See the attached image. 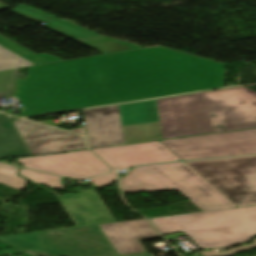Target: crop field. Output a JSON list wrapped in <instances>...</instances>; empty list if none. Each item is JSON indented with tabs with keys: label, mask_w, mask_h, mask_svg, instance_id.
Returning <instances> with one entry per match:
<instances>
[{
	"label": "crop field",
	"mask_w": 256,
	"mask_h": 256,
	"mask_svg": "<svg viewBox=\"0 0 256 256\" xmlns=\"http://www.w3.org/2000/svg\"><path fill=\"white\" fill-rule=\"evenodd\" d=\"M163 234L181 231L200 248H218L256 236V205L149 219Z\"/></svg>",
	"instance_id": "3"
},
{
	"label": "crop field",
	"mask_w": 256,
	"mask_h": 256,
	"mask_svg": "<svg viewBox=\"0 0 256 256\" xmlns=\"http://www.w3.org/2000/svg\"><path fill=\"white\" fill-rule=\"evenodd\" d=\"M99 228L94 225L41 233L51 256H119Z\"/></svg>",
	"instance_id": "7"
},
{
	"label": "crop field",
	"mask_w": 256,
	"mask_h": 256,
	"mask_svg": "<svg viewBox=\"0 0 256 256\" xmlns=\"http://www.w3.org/2000/svg\"><path fill=\"white\" fill-rule=\"evenodd\" d=\"M98 226L121 256L148 253L139 241L160 236L145 220Z\"/></svg>",
	"instance_id": "12"
},
{
	"label": "crop field",
	"mask_w": 256,
	"mask_h": 256,
	"mask_svg": "<svg viewBox=\"0 0 256 256\" xmlns=\"http://www.w3.org/2000/svg\"><path fill=\"white\" fill-rule=\"evenodd\" d=\"M15 69L0 72V97H9L12 94Z\"/></svg>",
	"instance_id": "18"
},
{
	"label": "crop field",
	"mask_w": 256,
	"mask_h": 256,
	"mask_svg": "<svg viewBox=\"0 0 256 256\" xmlns=\"http://www.w3.org/2000/svg\"><path fill=\"white\" fill-rule=\"evenodd\" d=\"M19 173L33 182L52 186L56 189H64V186L61 185V177L59 176L36 172L24 168H21Z\"/></svg>",
	"instance_id": "16"
},
{
	"label": "crop field",
	"mask_w": 256,
	"mask_h": 256,
	"mask_svg": "<svg viewBox=\"0 0 256 256\" xmlns=\"http://www.w3.org/2000/svg\"><path fill=\"white\" fill-rule=\"evenodd\" d=\"M161 142L182 160L254 154L256 129Z\"/></svg>",
	"instance_id": "6"
},
{
	"label": "crop field",
	"mask_w": 256,
	"mask_h": 256,
	"mask_svg": "<svg viewBox=\"0 0 256 256\" xmlns=\"http://www.w3.org/2000/svg\"><path fill=\"white\" fill-rule=\"evenodd\" d=\"M224 87V65L157 46L28 67L18 80L23 115Z\"/></svg>",
	"instance_id": "1"
},
{
	"label": "crop field",
	"mask_w": 256,
	"mask_h": 256,
	"mask_svg": "<svg viewBox=\"0 0 256 256\" xmlns=\"http://www.w3.org/2000/svg\"><path fill=\"white\" fill-rule=\"evenodd\" d=\"M34 64L0 46V71Z\"/></svg>",
	"instance_id": "17"
},
{
	"label": "crop field",
	"mask_w": 256,
	"mask_h": 256,
	"mask_svg": "<svg viewBox=\"0 0 256 256\" xmlns=\"http://www.w3.org/2000/svg\"><path fill=\"white\" fill-rule=\"evenodd\" d=\"M16 160L27 168L78 179L112 171L88 150Z\"/></svg>",
	"instance_id": "8"
},
{
	"label": "crop field",
	"mask_w": 256,
	"mask_h": 256,
	"mask_svg": "<svg viewBox=\"0 0 256 256\" xmlns=\"http://www.w3.org/2000/svg\"><path fill=\"white\" fill-rule=\"evenodd\" d=\"M18 118L0 114V159L30 155L12 120Z\"/></svg>",
	"instance_id": "13"
},
{
	"label": "crop field",
	"mask_w": 256,
	"mask_h": 256,
	"mask_svg": "<svg viewBox=\"0 0 256 256\" xmlns=\"http://www.w3.org/2000/svg\"><path fill=\"white\" fill-rule=\"evenodd\" d=\"M186 163L238 207L256 204V156Z\"/></svg>",
	"instance_id": "5"
},
{
	"label": "crop field",
	"mask_w": 256,
	"mask_h": 256,
	"mask_svg": "<svg viewBox=\"0 0 256 256\" xmlns=\"http://www.w3.org/2000/svg\"><path fill=\"white\" fill-rule=\"evenodd\" d=\"M17 171V167L0 163V183L21 191L29 181L19 177Z\"/></svg>",
	"instance_id": "15"
},
{
	"label": "crop field",
	"mask_w": 256,
	"mask_h": 256,
	"mask_svg": "<svg viewBox=\"0 0 256 256\" xmlns=\"http://www.w3.org/2000/svg\"><path fill=\"white\" fill-rule=\"evenodd\" d=\"M116 170L145 163L181 160L160 141L93 150Z\"/></svg>",
	"instance_id": "10"
},
{
	"label": "crop field",
	"mask_w": 256,
	"mask_h": 256,
	"mask_svg": "<svg viewBox=\"0 0 256 256\" xmlns=\"http://www.w3.org/2000/svg\"><path fill=\"white\" fill-rule=\"evenodd\" d=\"M90 180L98 187L105 186L117 181L115 173L91 178Z\"/></svg>",
	"instance_id": "19"
},
{
	"label": "crop field",
	"mask_w": 256,
	"mask_h": 256,
	"mask_svg": "<svg viewBox=\"0 0 256 256\" xmlns=\"http://www.w3.org/2000/svg\"><path fill=\"white\" fill-rule=\"evenodd\" d=\"M0 241L22 251L47 250L40 232L2 236Z\"/></svg>",
	"instance_id": "14"
},
{
	"label": "crop field",
	"mask_w": 256,
	"mask_h": 256,
	"mask_svg": "<svg viewBox=\"0 0 256 256\" xmlns=\"http://www.w3.org/2000/svg\"><path fill=\"white\" fill-rule=\"evenodd\" d=\"M71 131L76 132V133H80V134H83V135H84V132H83V130H81V129L71 130Z\"/></svg>",
	"instance_id": "20"
},
{
	"label": "crop field",
	"mask_w": 256,
	"mask_h": 256,
	"mask_svg": "<svg viewBox=\"0 0 256 256\" xmlns=\"http://www.w3.org/2000/svg\"><path fill=\"white\" fill-rule=\"evenodd\" d=\"M121 182L124 192L178 190L204 211L237 207L185 162L135 167Z\"/></svg>",
	"instance_id": "4"
},
{
	"label": "crop field",
	"mask_w": 256,
	"mask_h": 256,
	"mask_svg": "<svg viewBox=\"0 0 256 256\" xmlns=\"http://www.w3.org/2000/svg\"><path fill=\"white\" fill-rule=\"evenodd\" d=\"M57 197L76 227L115 222L95 189Z\"/></svg>",
	"instance_id": "11"
},
{
	"label": "crop field",
	"mask_w": 256,
	"mask_h": 256,
	"mask_svg": "<svg viewBox=\"0 0 256 256\" xmlns=\"http://www.w3.org/2000/svg\"><path fill=\"white\" fill-rule=\"evenodd\" d=\"M90 148L256 128L245 87L84 111Z\"/></svg>",
	"instance_id": "2"
},
{
	"label": "crop field",
	"mask_w": 256,
	"mask_h": 256,
	"mask_svg": "<svg viewBox=\"0 0 256 256\" xmlns=\"http://www.w3.org/2000/svg\"><path fill=\"white\" fill-rule=\"evenodd\" d=\"M31 155L86 149L83 137L30 122L13 121Z\"/></svg>",
	"instance_id": "9"
}]
</instances>
